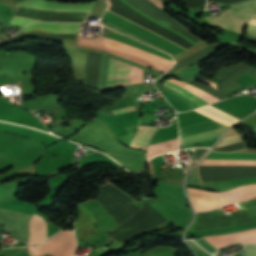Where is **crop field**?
<instances>
[{"label":"crop field","mask_w":256,"mask_h":256,"mask_svg":"<svg viewBox=\"0 0 256 256\" xmlns=\"http://www.w3.org/2000/svg\"><path fill=\"white\" fill-rule=\"evenodd\" d=\"M187 189L195 211H207L228 203L256 197V184L241 185L218 193L192 188Z\"/></svg>","instance_id":"8a807250"},{"label":"crop field","mask_w":256,"mask_h":256,"mask_svg":"<svg viewBox=\"0 0 256 256\" xmlns=\"http://www.w3.org/2000/svg\"><path fill=\"white\" fill-rule=\"evenodd\" d=\"M240 212L222 215L219 209L196 214L197 218L188 231L210 230L256 221V200L241 203Z\"/></svg>","instance_id":"ac0d7876"},{"label":"crop field","mask_w":256,"mask_h":256,"mask_svg":"<svg viewBox=\"0 0 256 256\" xmlns=\"http://www.w3.org/2000/svg\"><path fill=\"white\" fill-rule=\"evenodd\" d=\"M121 1L126 3L128 6H130L132 9L139 12L143 16L151 19L152 21L160 24L161 26L167 28L168 30L176 33L177 35H179V36L185 38L186 40L190 41L191 43L195 44L194 41L186 38L185 36L177 33L176 31L166 27L165 25L157 22L156 20L146 16L145 14H143L142 12H140L139 10H137L136 8L131 6L126 1H124V0H121ZM151 1L153 3H155L156 5L160 6L161 8H163L162 7L163 1H161V0H151ZM103 20H105V21H107V22H109V23H111V24H113V25H115V26H117V27H119V28H121V29H123V30H125V31H127V32H129V33H131V34H133V35H135V36H137V37H139V38H141V39H143V40H145V41H147V42H149V43H151V44H153V45H155V46H157V47H159V48H161V49H163V50H165L169 53H171V54H173V55H175V56L178 55L179 53H181L184 50V49H182V48H180V47H178V46H176V45H174V44H172V43H170V42H168V41H166V40H164V39H162V38H160V37H158V36H156V35H154L150 32H148V31H146L145 29L131 23L130 21L118 16L117 14L113 13L112 11H110L108 9H107V11H106V13L103 17Z\"/></svg>","instance_id":"34b2d1b8"},{"label":"crop field","mask_w":256,"mask_h":256,"mask_svg":"<svg viewBox=\"0 0 256 256\" xmlns=\"http://www.w3.org/2000/svg\"><path fill=\"white\" fill-rule=\"evenodd\" d=\"M205 250L214 253L232 246L256 243V229L234 232L226 235H216L193 239ZM247 256H256V244L243 245Z\"/></svg>","instance_id":"412701ff"},{"label":"crop field","mask_w":256,"mask_h":256,"mask_svg":"<svg viewBox=\"0 0 256 256\" xmlns=\"http://www.w3.org/2000/svg\"><path fill=\"white\" fill-rule=\"evenodd\" d=\"M222 11L219 17H205L211 24L218 25L237 32H242L243 26L256 15V0H249L231 5Z\"/></svg>","instance_id":"f4fd0767"},{"label":"crop field","mask_w":256,"mask_h":256,"mask_svg":"<svg viewBox=\"0 0 256 256\" xmlns=\"http://www.w3.org/2000/svg\"><path fill=\"white\" fill-rule=\"evenodd\" d=\"M215 121L209 120V121H205V122H200V123L180 127L179 128L180 129V137L189 135V134H193V133H197V132H201V131H205V130H209V129H213V128H217V127H221V126H225V125L215 122ZM228 128H229V126H226V127H222V128H218V129L182 137V138H180V147L200 143V142L207 141V140L214 139V138H218Z\"/></svg>","instance_id":"dd49c442"},{"label":"crop field","mask_w":256,"mask_h":256,"mask_svg":"<svg viewBox=\"0 0 256 256\" xmlns=\"http://www.w3.org/2000/svg\"><path fill=\"white\" fill-rule=\"evenodd\" d=\"M74 237V231H60L47 241L41 243L35 248L28 250L29 256H41L55 249L60 244ZM76 248L75 239L72 238L64 244L57 247L55 250L49 252L48 254L54 256H71Z\"/></svg>","instance_id":"e52e79f7"},{"label":"crop field","mask_w":256,"mask_h":256,"mask_svg":"<svg viewBox=\"0 0 256 256\" xmlns=\"http://www.w3.org/2000/svg\"><path fill=\"white\" fill-rule=\"evenodd\" d=\"M16 4L36 7V8L51 9V10L89 13L94 2L92 3H55V2H50L46 0H24ZM32 22L34 21L13 17L11 24L24 27L25 25Z\"/></svg>","instance_id":"d8731c3e"},{"label":"crop field","mask_w":256,"mask_h":256,"mask_svg":"<svg viewBox=\"0 0 256 256\" xmlns=\"http://www.w3.org/2000/svg\"><path fill=\"white\" fill-rule=\"evenodd\" d=\"M144 82L142 70L116 59L112 61L109 86L118 87Z\"/></svg>","instance_id":"5a996713"},{"label":"crop field","mask_w":256,"mask_h":256,"mask_svg":"<svg viewBox=\"0 0 256 256\" xmlns=\"http://www.w3.org/2000/svg\"><path fill=\"white\" fill-rule=\"evenodd\" d=\"M205 159L256 160V154L217 153L212 151ZM240 160H204L201 165H256V161H240Z\"/></svg>","instance_id":"3316defc"},{"label":"crop field","mask_w":256,"mask_h":256,"mask_svg":"<svg viewBox=\"0 0 256 256\" xmlns=\"http://www.w3.org/2000/svg\"><path fill=\"white\" fill-rule=\"evenodd\" d=\"M47 239V222L33 214L29 221L28 245Z\"/></svg>","instance_id":"28ad6ade"},{"label":"crop field","mask_w":256,"mask_h":256,"mask_svg":"<svg viewBox=\"0 0 256 256\" xmlns=\"http://www.w3.org/2000/svg\"><path fill=\"white\" fill-rule=\"evenodd\" d=\"M79 26L80 24L35 23L27 26L22 31L27 32L33 29H42L52 33L76 34Z\"/></svg>","instance_id":"d1516ede"},{"label":"crop field","mask_w":256,"mask_h":256,"mask_svg":"<svg viewBox=\"0 0 256 256\" xmlns=\"http://www.w3.org/2000/svg\"><path fill=\"white\" fill-rule=\"evenodd\" d=\"M80 206L81 215L77 226L78 238H88L95 232L93 215L86 208Z\"/></svg>","instance_id":"22f410ed"},{"label":"crop field","mask_w":256,"mask_h":256,"mask_svg":"<svg viewBox=\"0 0 256 256\" xmlns=\"http://www.w3.org/2000/svg\"><path fill=\"white\" fill-rule=\"evenodd\" d=\"M157 129V127L140 126L130 147L147 150L150 138L156 132Z\"/></svg>","instance_id":"cbeb9de0"},{"label":"crop field","mask_w":256,"mask_h":256,"mask_svg":"<svg viewBox=\"0 0 256 256\" xmlns=\"http://www.w3.org/2000/svg\"><path fill=\"white\" fill-rule=\"evenodd\" d=\"M103 36L107 37V38H110L112 40H115V41L127 44L129 46H132V47H135V48L147 51L149 53H152V54L164 57L166 59L172 60V58L169 55H167L165 53H162V52H160L158 50H155V49H153L151 47H148L146 45H143V44H141L139 42H136V41H134L132 39H129V38L125 37V36H118V35H103Z\"/></svg>","instance_id":"5142ce71"},{"label":"crop field","mask_w":256,"mask_h":256,"mask_svg":"<svg viewBox=\"0 0 256 256\" xmlns=\"http://www.w3.org/2000/svg\"><path fill=\"white\" fill-rule=\"evenodd\" d=\"M164 85H166V86L174 89L178 93L188 97L193 103H195L199 107H201L205 104H208L204 100H202L200 97H198V96H196V95H194V94H192V93H190V92H188V91H186V90H184V89H182V88H180V87H178V86H176L172 83H169V82L165 81Z\"/></svg>","instance_id":"d9b57169"},{"label":"crop field","mask_w":256,"mask_h":256,"mask_svg":"<svg viewBox=\"0 0 256 256\" xmlns=\"http://www.w3.org/2000/svg\"><path fill=\"white\" fill-rule=\"evenodd\" d=\"M236 142H240L238 135L224 138L215 148L222 147V146L229 145Z\"/></svg>","instance_id":"733c2abd"},{"label":"crop field","mask_w":256,"mask_h":256,"mask_svg":"<svg viewBox=\"0 0 256 256\" xmlns=\"http://www.w3.org/2000/svg\"><path fill=\"white\" fill-rule=\"evenodd\" d=\"M135 110H137V109L135 106H133V107H127V108H122V109H116L114 111H115V114L118 115V114L131 112V111H135Z\"/></svg>","instance_id":"4a817a6b"},{"label":"crop field","mask_w":256,"mask_h":256,"mask_svg":"<svg viewBox=\"0 0 256 256\" xmlns=\"http://www.w3.org/2000/svg\"><path fill=\"white\" fill-rule=\"evenodd\" d=\"M246 30L256 32V25L248 23L247 27H246ZM248 31H245V32L256 35V33L248 32Z\"/></svg>","instance_id":"bc2a9ffb"},{"label":"crop field","mask_w":256,"mask_h":256,"mask_svg":"<svg viewBox=\"0 0 256 256\" xmlns=\"http://www.w3.org/2000/svg\"><path fill=\"white\" fill-rule=\"evenodd\" d=\"M191 245H193L195 248H197V249H199V250H201V251H203V252H205L204 250H202L200 247H198L196 244H194L193 242H191V241H188Z\"/></svg>","instance_id":"214f88e0"},{"label":"crop field","mask_w":256,"mask_h":256,"mask_svg":"<svg viewBox=\"0 0 256 256\" xmlns=\"http://www.w3.org/2000/svg\"><path fill=\"white\" fill-rule=\"evenodd\" d=\"M234 256H238V253H237V254H235Z\"/></svg>","instance_id":"92a150f3"}]
</instances>
